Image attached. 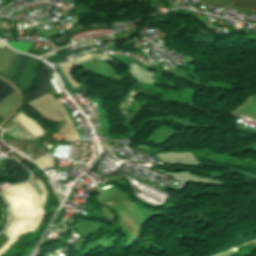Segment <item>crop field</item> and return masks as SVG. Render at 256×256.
Instances as JSON below:
<instances>
[{
  "mask_svg": "<svg viewBox=\"0 0 256 256\" xmlns=\"http://www.w3.org/2000/svg\"><path fill=\"white\" fill-rule=\"evenodd\" d=\"M2 194L11 206L12 215L28 218L40 223L44 217L39 207V200L35 190L28 183L7 186Z\"/></svg>",
  "mask_w": 256,
  "mask_h": 256,
  "instance_id": "obj_1",
  "label": "crop field"
},
{
  "mask_svg": "<svg viewBox=\"0 0 256 256\" xmlns=\"http://www.w3.org/2000/svg\"><path fill=\"white\" fill-rule=\"evenodd\" d=\"M29 104L47 120L54 119L55 122L66 120L67 123L62 129L66 139H80L66 111L54 97L47 94Z\"/></svg>",
  "mask_w": 256,
  "mask_h": 256,
  "instance_id": "obj_2",
  "label": "crop field"
},
{
  "mask_svg": "<svg viewBox=\"0 0 256 256\" xmlns=\"http://www.w3.org/2000/svg\"><path fill=\"white\" fill-rule=\"evenodd\" d=\"M40 65L39 60L18 54L6 77L16 82L24 93L32 87Z\"/></svg>",
  "mask_w": 256,
  "mask_h": 256,
  "instance_id": "obj_3",
  "label": "crop field"
},
{
  "mask_svg": "<svg viewBox=\"0 0 256 256\" xmlns=\"http://www.w3.org/2000/svg\"><path fill=\"white\" fill-rule=\"evenodd\" d=\"M50 90H51V87L49 82V67L44 66L39 76L36 87L34 88L33 91L31 90L32 92L26 94L25 104L49 93Z\"/></svg>",
  "mask_w": 256,
  "mask_h": 256,
  "instance_id": "obj_4",
  "label": "crop field"
},
{
  "mask_svg": "<svg viewBox=\"0 0 256 256\" xmlns=\"http://www.w3.org/2000/svg\"><path fill=\"white\" fill-rule=\"evenodd\" d=\"M21 113V112H20ZM19 113V115L17 116V117H15L12 121L15 123V124H17L22 130H24L27 134H28V136L29 137H31L33 140L34 139H36L37 137H39V136H41V135H43L42 133H41V131H42V129L40 128V130H39V128H38V124L36 123V122H34V123H36V124H34L33 122H31V121H29V120H27L24 116H22L21 114ZM43 132V131H42Z\"/></svg>",
  "mask_w": 256,
  "mask_h": 256,
  "instance_id": "obj_5",
  "label": "crop field"
},
{
  "mask_svg": "<svg viewBox=\"0 0 256 256\" xmlns=\"http://www.w3.org/2000/svg\"><path fill=\"white\" fill-rule=\"evenodd\" d=\"M12 220L18 226V228L21 230L22 233L29 232V231L35 232V230L37 229V227L39 225L35 221L18 218V217H14V216H12Z\"/></svg>",
  "mask_w": 256,
  "mask_h": 256,
  "instance_id": "obj_6",
  "label": "crop field"
},
{
  "mask_svg": "<svg viewBox=\"0 0 256 256\" xmlns=\"http://www.w3.org/2000/svg\"><path fill=\"white\" fill-rule=\"evenodd\" d=\"M3 233L9 238V242L0 249V254L22 234L12 220L6 231Z\"/></svg>",
  "mask_w": 256,
  "mask_h": 256,
  "instance_id": "obj_7",
  "label": "crop field"
},
{
  "mask_svg": "<svg viewBox=\"0 0 256 256\" xmlns=\"http://www.w3.org/2000/svg\"><path fill=\"white\" fill-rule=\"evenodd\" d=\"M75 66H77V64L71 65L72 70ZM59 68L61 69L67 80L70 82V84L73 86V88L81 86L74 80L70 66H59Z\"/></svg>",
  "mask_w": 256,
  "mask_h": 256,
  "instance_id": "obj_8",
  "label": "crop field"
},
{
  "mask_svg": "<svg viewBox=\"0 0 256 256\" xmlns=\"http://www.w3.org/2000/svg\"><path fill=\"white\" fill-rule=\"evenodd\" d=\"M37 164H39L43 169L54 167V160L49 155V153L43 155L42 157L34 160Z\"/></svg>",
  "mask_w": 256,
  "mask_h": 256,
  "instance_id": "obj_9",
  "label": "crop field"
},
{
  "mask_svg": "<svg viewBox=\"0 0 256 256\" xmlns=\"http://www.w3.org/2000/svg\"><path fill=\"white\" fill-rule=\"evenodd\" d=\"M57 72L59 73L64 85L66 86L68 92L70 95L72 94H76V93H79V92H83V90L79 87V88H76V89H73L72 86L69 84V82L66 80V78L64 77V75L62 74V72L60 71V69L58 68V66H55L53 65Z\"/></svg>",
  "mask_w": 256,
  "mask_h": 256,
  "instance_id": "obj_10",
  "label": "crop field"
},
{
  "mask_svg": "<svg viewBox=\"0 0 256 256\" xmlns=\"http://www.w3.org/2000/svg\"><path fill=\"white\" fill-rule=\"evenodd\" d=\"M13 90L14 89L11 85L0 80V100H2L5 96H7Z\"/></svg>",
  "mask_w": 256,
  "mask_h": 256,
  "instance_id": "obj_11",
  "label": "crop field"
},
{
  "mask_svg": "<svg viewBox=\"0 0 256 256\" xmlns=\"http://www.w3.org/2000/svg\"><path fill=\"white\" fill-rule=\"evenodd\" d=\"M234 5L256 10V0H236Z\"/></svg>",
  "mask_w": 256,
  "mask_h": 256,
  "instance_id": "obj_12",
  "label": "crop field"
},
{
  "mask_svg": "<svg viewBox=\"0 0 256 256\" xmlns=\"http://www.w3.org/2000/svg\"><path fill=\"white\" fill-rule=\"evenodd\" d=\"M7 43L11 47H13V48H15V49H17L19 51L26 52V53L28 52V50H29V48L31 46V43H17V42H11V41H7Z\"/></svg>",
  "mask_w": 256,
  "mask_h": 256,
  "instance_id": "obj_13",
  "label": "crop field"
},
{
  "mask_svg": "<svg viewBox=\"0 0 256 256\" xmlns=\"http://www.w3.org/2000/svg\"><path fill=\"white\" fill-rule=\"evenodd\" d=\"M107 56L108 55H104V54L89 53V54H87L85 56H82V57L78 58L76 62L82 61V60H85V59H88V58H105Z\"/></svg>",
  "mask_w": 256,
  "mask_h": 256,
  "instance_id": "obj_14",
  "label": "crop field"
},
{
  "mask_svg": "<svg viewBox=\"0 0 256 256\" xmlns=\"http://www.w3.org/2000/svg\"><path fill=\"white\" fill-rule=\"evenodd\" d=\"M37 183H38L40 189H41L42 192H43V195H40V196H39L40 207H43V205H44V203H45V198H46L47 192H46V190H45V188H44V186H43V184H42L41 181H37Z\"/></svg>",
  "mask_w": 256,
  "mask_h": 256,
  "instance_id": "obj_15",
  "label": "crop field"
},
{
  "mask_svg": "<svg viewBox=\"0 0 256 256\" xmlns=\"http://www.w3.org/2000/svg\"><path fill=\"white\" fill-rule=\"evenodd\" d=\"M68 54H71V53H68ZM68 54H58L57 56L51 58V59H48V61L50 63H56L58 64L64 57H66Z\"/></svg>",
  "mask_w": 256,
  "mask_h": 256,
  "instance_id": "obj_16",
  "label": "crop field"
},
{
  "mask_svg": "<svg viewBox=\"0 0 256 256\" xmlns=\"http://www.w3.org/2000/svg\"><path fill=\"white\" fill-rule=\"evenodd\" d=\"M19 128L17 125H15L12 121L10 122V124L7 126L5 132H7L8 134L12 133L13 131H15V129Z\"/></svg>",
  "mask_w": 256,
  "mask_h": 256,
  "instance_id": "obj_17",
  "label": "crop field"
},
{
  "mask_svg": "<svg viewBox=\"0 0 256 256\" xmlns=\"http://www.w3.org/2000/svg\"><path fill=\"white\" fill-rule=\"evenodd\" d=\"M3 46H4V45H3L2 43H0V47L3 48Z\"/></svg>",
  "mask_w": 256,
  "mask_h": 256,
  "instance_id": "obj_18",
  "label": "crop field"
},
{
  "mask_svg": "<svg viewBox=\"0 0 256 256\" xmlns=\"http://www.w3.org/2000/svg\"><path fill=\"white\" fill-rule=\"evenodd\" d=\"M97 187H98V190H100V187H99V185H97Z\"/></svg>",
  "mask_w": 256,
  "mask_h": 256,
  "instance_id": "obj_19",
  "label": "crop field"
}]
</instances>
